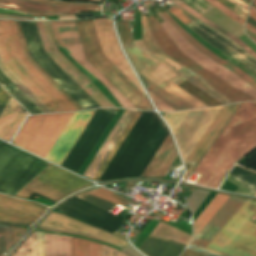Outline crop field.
<instances>
[{
    "instance_id": "crop-field-6",
    "label": "crop field",
    "mask_w": 256,
    "mask_h": 256,
    "mask_svg": "<svg viewBox=\"0 0 256 256\" xmlns=\"http://www.w3.org/2000/svg\"><path fill=\"white\" fill-rule=\"evenodd\" d=\"M222 107L165 113L179 146L183 161L195 147Z\"/></svg>"
},
{
    "instance_id": "crop-field-25",
    "label": "crop field",
    "mask_w": 256,
    "mask_h": 256,
    "mask_svg": "<svg viewBox=\"0 0 256 256\" xmlns=\"http://www.w3.org/2000/svg\"><path fill=\"white\" fill-rule=\"evenodd\" d=\"M45 256H71L70 237L44 233Z\"/></svg>"
},
{
    "instance_id": "crop-field-58",
    "label": "crop field",
    "mask_w": 256,
    "mask_h": 256,
    "mask_svg": "<svg viewBox=\"0 0 256 256\" xmlns=\"http://www.w3.org/2000/svg\"><path fill=\"white\" fill-rule=\"evenodd\" d=\"M89 1H100V0H89Z\"/></svg>"
},
{
    "instance_id": "crop-field-24",
    "label": "crop field",
    "mask_w": 256,
    "mask_h": 256,
    "mask_svg": "<svg viewBox=\"0 0 256 256\" xmlns=\"http://www.w3.org/2000/svg\"><path fill=\"white\" fill-rule=\"evenodd\" d=\"M0 1L8 4L13 3V4L20 5L19 9L61 11V12H69L70 10V7L38 4V3H33V2H28L23 0H0ZM27 10H19V11H23L33 16H53V15L69 14V13H61V12H44V11H27Z\"/></svg>"
},
{
    "instance_id": "crop-field-56",
    "label": "crop field",
    "mask_w": 256,
    "mask_h": 256,
    "mask_svg": "<svg viewBox=\"0 0 256 256\" xmlns=\"http://www.w3.org/2000/svg\"><path fill=\"white\" fill-rule=\"evenodd\" d=\"M0 4H1V5H5V6H9V7H13V8H17V9H18V7H19V6H17V5H13V4L8 5V4H4V3H1V2H0ZM2 7H4V6H2ZM6 8H8V7H6ZM11 9H12V8H11ZM15 10H16V9H15Z\"/></svg>"
},
{
    "instance_id": "crop-field-18",
    "label": "crop field",
    "mask_w": 256,
    "mask_h": 256,
    "mask_svg": "<svg viewBox=\"0 0 256 256\" xmlns=\"http://www.w3.org/2000/svg\"><path fill=\"white\" fill-rule=\"evenodd\" d=\"M11 97L0 115V138L10 140L25 118V113Z\"/></svg>"
},
{
    "instance_id": "crop-field-42",
    "label": "crop field",
    "mask_w": 256,
    "mask_h": 256,
    "mask_svg": "<svg viewBox=\"0 0 256 256\" xmlns=\"http://www.w3.org/2000/svg\"><path fill=\"white\" fill-rule=\"evenodd\" d=\"M148 91V90H147ZM149 95L155 104L158 111H174L172 108H170L168 105H166L164 102H162L160 99H158L155 95H153L151 92H149Z\"/></svg>"
},
{
    "instance_id": "crop-field-9",
    "label": "crop field",
    "mask_w": 256,
    "mask_h": 256,
    "mask_svg": "<svg viewBox=\"0 0 256 256\" xmlns=\"http://www.w3.org/2000/svg\"><path fill=\"white\" fill-rule=\"evenodd\" d=\"M135 113L136 111L134 110H125L123 115L121 114V118L119 119V121L117 122V124L115 125V127L113 128V130L111 131V133L109 134V136L107 137V139L105 140V142L103 143V145L101 146V148L99 149V151L97 152V154L95 155V157L83 173L84 176H87L92 179V177L94 176V174L96 173V171L98 170V168L100 167V165L102 164V162L104 161V159L106 158V156L108 155V153L110 152V150L112 149V147L114 146V144L116 143V141L118 140V138L120 137V135L122 134V132L124 131V129L126 128V126L128 125V123L130 122ZM140 113L141 111H137V113L135 114V116L133 117V119L131 120V122L129 123V125L127 126V128L125 129V131L123 132V134L121 135V137L119 138V140L117 141V143L115 144V146L113 147V149L111 150V152L109 153V155L97 171V173L95 174V176L93 177V180L97 181L102 171L112 158L113 154L125 138L126 134L130 130V128L132 127Z\"/></svg>"
},
{
    "instance_id": "crop-field-41",
    "label": "crop field",
    "mask_w": 256,
    "mask_h": 256,
    "mask_svg": "<svg viewBox=\"0 0 256 256\" xmlns=\"http://www.w3.org/2000/svg\"><path fill=\"white\" fill-rule=\"evenodd\" d=\"M207 2L211 3L214 5L216 8H218L220 11H222L224 14H226L228 17H230L232 20L240 24L241 26L244 25V22L242 19H240L238 16L233 14L231 11H229L227 8H225L223 5H221L219 2L216 0H206Z\"/></svg>"
},
{
    "instance_id": "crop-field-31",
    "label": "crop field",
    "mask_w": 256,
    "mask_h": 256,
    "mask_svg": "<svg viewBox=\"0 0 256 256\" xmlns=\"http://www.w3.org/2000/svg\"><path fill=\"white\" fill-rule=\"evenodd\" d=\"M174 3L177 4L178 6H180L183 10H185L190 15H192V16L196 17L197 19L203 21L204 23H206L209 26H211L212 28H214L216 31H218V32L224 34L225 36H227L228 38H230L232 41H234L239 46H241L243 49H245L247 52H249L256 59V54L245 43H243L241 40L236 38L230 32H228V31L222 29L221 27H219L218 25L214 24L213 22H211L210 20H208L204 16H202L199 13H197L196 11H194L192 8H190L186 4H184V3L178 4L176 2H174Z\"/></svg>"
},
{
    "instance_id": "crop-field-11",
    "label": "crop field",
    "mask_w": 256,
    "mask_h": 256,
    "mask_svg": "<svg viewBox=\"0 0 256 256\" xmlns=\"http://www.w3.org/2000/svg\"><path fill=\"white\" fill-rule=\"evenodd\" d=\"M45 209L29 201L0 195V224L30 226Z\"/></svg>"
},
{
    "instance_id": "crop-field-39",
    "label": "crop field",
    "mask_w": 256,
    "mask_h": 256,
    "mask_svg": "<svg viewBox=\"0 0 256 256\" xmlns=\"http://www.w3.org/2000/svg\"><path fill=\"white\" fill-rule=\"evenodd\" d=\"M172 14H174L179 20H181L186 26L196 22L197 20L188 15L185 11L179 9L178 7H173L172 9L168 10Z\"/></svg>"
},
{
    "instance_id": "crop-field-51",
    "label": "crop field",
    "mask_w": 256,
    "mask_h": 256,
    "mask_svg": "<svg viewBox=\"0 0 256 256\" xmlns=\"http://www.w3.org/2000/svg\"><path fill=\"white\" fill-rule=\"evenodd\" d=\"M231 3H233L235 6H237L238 8H240L241 10H243L245 13L248 12V8L249 6H247L246 4H244L243 2H241L240 0H228Z\"/></svg>"
},
{
    "instance_id": "crop-field-48",
    "label": "crop field",
    "mask_w": 256,
    "mask_h": 256,
    "mask_svg": "<svg viewBox=\"0 0 256 256\" xmlns=\"http://www.w3.org/2000/svg\"><path fill=\"white\" fill-rule=\"evenodd\" d=\"M11 228H12L14 243L16 244L19 241V239L22 237V235L25 233L26 229L16 228V227H11ZM18 235H20V238L17 237Z\"/></svg>"
},
{
    "instance_id": "crop-field-20",
    "label": "crop field",
    "mask_w": 256,
    "mask_h": 256,
    "mask_svg": "<svg viewBox=\"0 0 256 256\" xmlns=\"http://www.w3.org/2000/svg\"><path fill=\"white\" fill-rule=\"evenodd\" d=\"M177 29L178 31L198 50H200L202 53L207 55L209 58L214 60L215 62L225 66L230 71L235 73L237 76H239L241 79L246 81L248 84H250L252 87L256 89V82L251 79L246 73H244L241 69L233 65L232 63L228 62L225 59L219 58L217 55L209 51L207 48H205L201 43H199L196 39H194L191 35H189L185 30H183L177 23H175L165 12L162 13Z\"/></svg>"
},
{
    "instance_id": "crop-field-19",
    "label": "crop field",
    "mask_w": 256,
    "mask_h": 256,
    "mask_svg": "<svg viewBox=\"0 0 256 256\" xmlns=\"http://www.w3.org/2000/svg\"><path fill=\"white\" fill-rule=\"evenodd\" d=\"M39 31L42 43L44 45L46 53L67 73L69 74L90 96H92L96 90L78 73H76L70 66H68L60 56L52 48L49 39L47 37L44 25L42 21L35 22Z\"/></svg>"
},
{
    "instance_id": "crop-field-38",
    "label": "crop field",
    "mask_w": 256,
    "mask_h": 256,
    "mask_svg": "<svg viewBox=\"0 0 256 256\" xmlns=\"http://www.w3.org/2000/svg\"><path fill=\"white\" fill-rule=\"evenodd\" d=\"M181 75H183L185 78H187L190 82H192L194 85L200 87L201 89L205 90L206 92H208L209 94L213 95L214 97H216L218 100H220L221 102L225 103L224 101H222L220 98H218L216 95H214L212 92H210L202 83H200L196 78L199 77L198 75L186 70V69H181L179 71Z\"/></svg>"
},
{
    "instance_id": "crop-field-27",
    "label": "crop field",
    "mask_w": 256,
    "mask_h": 256,
    "mask_svg": "<svg viewBox=\"0 0 256 256\" xmlns=\"http://www.w3.org/2000/svg\"><path fill=\"white\" fill-rule=\"evenodd\" d=\"M185 78H183L181 75L158 86L162 90L170 93L171 95L175 96L182 102L186 103L192 108L196 107H205L206 105L191 96L189 93L178 87L177 85L184 82Z\"/></svg>"
},
{
    "instance_id": "crop-field-55",
    "label": "crop field",
    "mask_w": 256,
    "mask_h": 256,
    "mask_svg": "<svg viewBox=\"0 0 256 256\" xmlns=\"http://www.w3.org/2000/svg\"><path fill=\"white\" fill-rule=\"evenodd\" d=\"M249 16H251L253 19L256 20V12L254 10H252V9L250 10Z\"/></svg>"
},
{
    "instance_id": "crop-field-8",
    "label": "crop field",
    "mask_w": 256,
    "mask_h": 256,
    "mask_svg": "<svg viewBox=\"0 0 256 256\" xmlns=\"http://www.w3.org/2000/svg\"><path fill=\"white\" fill-rule=\"evenodd\" d=\"M152 31L154 36L161 46V48L167 53V55L172 58L174 61L184 65L185 67L193 70L194 72L200 74L212 87H214L218 92L227 98L235 101H256L255 99L243 94L242 92L236 90L235 88L226 84L223 80H221L216 75L202 68L191 59L186 57L183 53H181L176 45L169 39L165 31L159 25L155 17L151 18ZM183 66V67H184ZM192 71V72H193Z\"/></svg>"
},
{
    "instance_id": "crop-field-2",
    "label": "crop field",
    "mask_w": 256,
    "mask_h": 256,
    "mask_svg": "<svg viewBox=\"0 0 256 256\" xmlns=\"http://www.w3.org/2000/svg\"><path fill=\"white\" fill-rule=\"evenodd\" d=\"M95 111L29 116L13 144L45 158L73 115L46 156L60 165Z\"/></svg>"
},
{
    "instance_id": "crop-field-43",
    "label": "crop field",
    "mask_w": 256,
    "mask_h": 256,
    "mask_svg": "<svg viewBox=\"0 0 256 256\" xmlns=\"http://www.w3.org/2000/svg\"><path fill=\"white\" fill-rule=\"evenodd\" d=\"M218 1L222 3L225 7H227L229 10H231L233 13L241 17L243 20H246L247 14H245L243 11L235 7L233 4H231L227 0H218Z\"/></svg>"
},
{
    "instance_id": "crop-field-4",
    "label": "crop field",
    "mask_w": 256,
    "mask_h": 256,
    "mask_svg": "<svg viewBox=\"0 0 256 256\" xmlns=\"http://www.w3.org/2000/svg\"><path fill=\"white\" fill-rule=\"evenodd\" d=\"M256 202L247 200L205 251L216 255L256 256V224L248 221Z\"/></svg>"
},
{
    "instance_id": "crop-field-22",
    "label": "crop field",
    "mask_w": 256,
    "mask_h": 256,
    "mask_svg": "<svg viewBox=\"0 0 256 256\" xmlns=\"http://www.w3.org/2000/svg\"><path fill=\"white\" fill-rule=\"evenodd\" d=\"M141 19V26H142V42L147 49L149 55L154 56L156 58L162 59L168 64H170L172 67H174L176 70H179L183 67L175 63L173 60H171L160 48V46L157 44L151 30L149 27V23L147 19L144 16H140Z\"/></svg>"
},
{
    "instance_id": "crop-field-29",
    "label": "crop field",
    "mask_w": 256,
    "mask_h": 256,
    "mask_svg": "<svg viewBox=\"0 0 256 256\" xmlns=\"http://www.w3.org/2000/svg\"><path fill=\"white\" fill-rule=\"evenodd\" d=\"M124 50L126 51L135 71H138L140 69L155 65L161 60L147 56L137 50L134 46H126L122 45Z\"/></svg>"
},
{
    "instance_id": "crop-field-30",
    "label": "crop field",
    "mask_w": 256,
    "mask_h": 256,
    "mask_svg": "<svg viewBox=\"0 0 256 256\" xmlns=\"http://www.w3.org/2000/svg\"><path fill=\"white\" fill-rule=\"evenodd\" d=\"M72 256H100V244L71 237Z\"/></svg>"
},
{
    "instance_id": "crop-field-34",
    "label": "crop field",
    "mask_w": 256,
    "mask_h": 256,
    "mask_svg": "<svg viewBox=\"0 0 256 256\" xmlns=\"http://www.w3.org/2000/svg\"><path fill=\"white\" fill-rule=\"evenodd\" d=\"M15 22V25H16V28H17V31H18V34H19V37L21 39V42H22V45H23V48H24V51H25V54H26V57L27 59L52 83L54 84L79 110H82L83 108L72 98L70 97L45 71H43L29 56V53H28V50H27V47H26V44H25V41H24V38H23V35H22V32H21V29H20V26H19V23L14 21Z\"/></svg>"
},
{
    "instance_id": "crop-field-44",
    "label": "crop field",
    "mask_w": 256,
    "mask_h": 256,
    "mask_svg": "<svg viewBox=\"0 0 256 256\" xmlns=\"http://www.w3.org/2000/svg\"><path fill=\"white\" fill-rule=\"evenodd\" d=\"M101 256H127L117 250L101 245Z\"/></svg>"
},
{
    "instance_id": "crop-field-52",
    "label": "crop field",
    "mask_w": 256,
    "mask_h": 256,
    "mask_svg": "<svg viewBox=\"0 0 256 256\" xmlns=\"http://www.w3.org/2000/svg\"><path fill=\"white\" fill-rule=\"evenodd\" d=\"M181 256H206V255H203L201 253H198L189 249H185L184 252L181 254Z\"/></svg>"
},
{
    "instance_id": "crop-field-5",
    "label": "crop field",
    "mask_w": 256,
    "mask_h": 256,
    "mask_svg": "<svg viewBox=\"0 0 256 256\" xmlns=\"http://www.w3.org/2000/svg\"><path fill=\"white\" fill-rule=\"evenodd\" d=\"M76 23L88 60L138 109L153 110L148 98L103 55L92 20Z\"/></svg>"
},
{
    "instance_id": "crop-field-15",
    "label": "crop field",
    "mask_w": 256,
    "mask_h": 256,
    "mask_svg": "<svg viewBox=\"0 0 256 256\" xmlns=\"http://www.w3.org/2000/svg\"><path fill=\"white\" fill-rule=\"evenodd\" d=\"M239 105L240 103L224 106V108L221 110L219 115L213 121V123L208 128L206 133L203 135L201 140L198 142L196 147L193 149V151L190 153L188 158L185 160L186 163H190L192 165L183 179L186 180V178L189 176L191 171L194 169L196 164L202 158L204 153L207 151L209 146L212 144L214 139L217 137L219 132L222 130L224 125L227 123V121L230 119V117L232 116V114L235 112V110Z\"/></svg>"
},
{
    "instance_id": "crop-field-54",
    "label": "crop field",
    "mask_w": 256,
    "mask_h": 256,
    "mask_svg": "<svg viewBox=\"0 0 256 256\" xmlns=\"http://www.w3.org/2000/svg\"><path fill=\"white\" fill-rule=\"evenodd\" d=\"M246 29H248L250 32H252L253 34L256 35V29H254L253 27H251L249 24L246 25Z\"/></svg>"
},
{
    "instance_id": "crop-field-17",
    "label": "crop field",
    "mask_w": 256,
    "mask_h": 256,
    "mask_svg": "<svg viewBox=\"0 0 256 256\" xmlns=\"http://www.w3.org/2000/svg\"><path fill=\"white\" fill-rule=\"evenodd\" d=\"M176 156V151L168 134L141 177H163Z\"/></svg>"
},
{
    "instance_id": "crop-field-59",
    "label": "crop field",
    "mask_w": 256,
    "mask_h": 256,
    "mask_svg": "<svg viewBox=\"0 0 256 256\" xmlns=\"http://www.w3.org/2000/svg\"><path fill=\"white\" fill-rule=\"evenodd\" d=\"M224 182H225V180H224ZM224 182L222 183V185L224 184ZM222 185H221V186H222ZM221 186H220V188H221ZM220 188H219V189H220Z\"/></svg>"
},
{
    "instance_id": "crop-field-12",
    "label": "crop field",
    "mask_w": 256,
    "mask_h": 256,
    "mask_svg": "<svg viewBox=\"0 0 256 256\" xmlns=\"http://www.w3.org/2000/svg\"><path fill=\"white\" fill-rule=\"evenodd\" d=\"M93 21L104 55L144 93L120 51L111 19L100 18Z\"/></svg>"
},
{
    "instance_id": "crop-field-47",
    "label": "crop field",
    "mask_w": 256,
    "mask_h": 256,
    "mask_svg": "<svg viewBox=\"0 0 256 256\" xmlns=\"http://www.w3.org/2000/svg\"><path fill=\"white\" fill-rule=\"evenodd\" d=\"M38 256H44L43 233L37 231Z\"/></svg>"
},
{
    "instance_id": "crop-field-40",
    "label": "crop field",
    "mask_w": 256,
    "mask_h": 256,
    "mask_svg": "<svg viewBox=\"0 0 256 256\" xmlns=\"http://www.w3.org/2000/svg\"><path fill=\"white\" fill-rule=\"evenodd\" d=\"M83 200L89 202V203H92L106 211H110L112 208H114L116 205L112 204V203H109L105 200H102L100 198H97V197H93V196H89V195H86Z\"/></svg>"
},
{
    "instance_id": "crop-field-1",
    "label": "crop field",
    "mask_w": 256,
    "mask_h": 256,
    "mask_svg": "<svg viewBox=\"0 0 256 256\" xmlns=\"http://www.w3.org/2000/svg\"><path fill=\"white\" fill-rule=\"evenodd\" d=\"M255 122L256 103H242L197 168L194 170L195 173L202 174L197 181V184L210 187ZM254 148H256V123L211 187L217 188L220 180L231 169L234 162Z\"/></svg>"
},
{
    "instance_id": "crop-field-57",
    "label": "crop field",
    "mask_w": 256,
    "mask_h": 256,
    "mask_svg": "<svg viewBox=\"0 0 256 256\" xmlns=\"http://www.w3.org/2000/svg\"><path fill=\"white\" fill-rule=\"evenodd\" d=\"M252 3L256 5V0H253ZM248 35V34H247ZM251 39H253L256 42V39H254L252 36L248 35Z\"/></svg>"
},
{
    "instance_id": "crop-field-7",
    "label": "crop field",
    "mask_w": 256,
    "mask_h": 256,
    "mask_svg": "<svg viewBox=\"0 0 256 256\" xmlns=\"http://www.w3.org/2000/svg\"><path fill=\"white\" fill-rule=\"evenodd\" d=\"M51 167H52V165L49 164L33 180H31L16 196L29 198V196L32 193H37V194H40V195H43V196L49 198L50 200H52L53 202L56 203L59 200H61L62 198L66 197L78 190H81L83 188L93 185V184H89L88 182H86L68 172H65L55 166H53L52 168ZM48 169H50V170H48ZM39 177H41V178H39ZM36 180H37V182H39L45 186H48V187H50L58 192H61L63 194L70 190H73L79 186H82L85 184H89V185L79 187L65 195H62L50 188H47V187L35 182Z\"/></svg>"
},
{
    "instance_id": "crop-field-50",
    "label": "crop field",
    "mask_w": 256,
    "mask_h": 256,
    "mask_svg": "<svg viewBox=\"0 0 256 256\" xmlns=\"http://www.w3.org/2000/svg\"><path fill=\"white\" fill-rule=\"evenodd\" d=\"M209 90H211L213 93H215L217 96H219L221 99H223L226 103H231L232 101L228 100L221 94H219L216 90H214L208 83H206L201 77L198 78Z\"/></svg>"
},
{
    "instance_id": "crop-field-35",
    "label": "crop field",
    "mask_w": 256,
    "mask_h": 256,
    "mask_svg": "<svg viewBox=\"0 0 256 256\" xmlns=\"http://www.w3.org/2000/svg\"><path fill=\"white\" fill-rule=\"evenodd\" d=\"M12 256H37L36 230L32 235L12 254Z\"/></svg>"
},
{
    "instance_id": "crop-field-21",
    "label": "crop field",
    "mask_w": 256,
    "mask_h": 256,
    "mask_svg": "<svg viewBox=\"0 0 256 256\" xmlns=\"http://www.w3.org/2000/svg\"><path fill=\"white\" fill-rule=\"evenodd\" d=\"M182 249L178 244L148 236L138 250L146 256H177Z\"/></svg>"
},
{
    "instance_id": "crop-field-10",
    "label": "crop field",
    "mask_w": 256,
    "mask_h": 256,
    "mask_svg": "<svg viewBox=\"0 0 256 256\" xmlns=\"http://www.w3.org/2000/svg\"><path fill=\"white\" fill-rule=\"evenodd\" d=\"M158 15L167 22L168 20L164 18L160 12H158ZM162 22V23H165ZM161 23V24H162ZM163 27L166 29L172 40L175 42L176 45H179V48L186 53L189 57H191L194 61H196L198 64L208 68L216 75L222 77L227 82H229L232 85H235L239 87L241 90L245 91L249 95L256 98V91L252 89L250 86H248L245 82H243L240 78L235 76L233 73H231L226 68L212 62L207 57L202 55L200 52H198L190 43H188L177 31L176 29L169 23L163 24Z\"/></svg>"
},
{
    "instance_id": "crop-field-3",
    "label": "crop field",
    "mask_w": 256,
    "mask_h": 256,
    "mask_svg": "<svg viewBox=\"0 0 256 256\" xmlns=\"http://www.w3.org/2000/svg\"><path fill=\"white\" fill-rule=\"evenodd\" d=\"M0 55L4 65L52 112L78 110L26 59L13 21H0Z\"/></svg>"
},
{
    "instance_id": "crop-field-14",
    "label": "crop field",
    "mask_w": 256,
    "mask_h": 256,
    "mask_svg": "<svg viewBox=\"0 0 256 256\" xmlns=\"http://www.w3.org/2000/svg\"><path fill=\"white\" fill-rule=\"evenodd\" d=\"M245 201L231 196L190 245L204 250Z\"/></svg>"
},
{
    "instance_id": "crop-field-23",
    "label": "crop field",
    "mask_w": 256,
    "mask_h": 256,
    "mask_svg": "<svg viewBox=\"0 0 256 256\" xmlns=\"http://www.w3.org/2000/svg\"><path fill=\"white\" fill-rule=\"evenodd\" d=\"M49 23L60 48L81 43L74 22Z\"/></svg>"
},
{
    "instance_id": "crop-field-49",
    "label": "crop field",
    "mask_w": 256,
    "mask_h": 256,
    "mask_svg": "<svg viewBox=\"0 0 256 256\" xmlns=\"http://www.w3.org/2000/svg\"><path fill=\"white\" fill-rule=\"evenodd\" d=\"M6 249H5V242H4V236H3V229L2 226H0V256H5Z\"/></svg>"
},
{
    "instance_id": "crop-field-33",
    "label": "crop field",
    "mask_w": 256,
    "mask_h": 256,
    "mask_svg": "<svg viewBox=\"0 0 256 256\" xmlns=\"http://www.w3.org/2000/svg\"><path fill=\"white\" fill-rule=\"evenodd\" d=\"M0 70L43 112L50 113L51 111L34 95L32 94L2 63L0 57Z\"/></svg>"
},
{
    "instance_id": "crop-field-26",
    "label": "crop field",
    "mask_w": 256,
    "mask_h": 256,
    "mask_svg": "<svg viewBox=\"0 0 256 256\" xmlns=\"http://www.w3.org/2000/svg\"><path fill=\"white\" fill-rule=\"evenodd\" d=\"M230 196L217 194L214 199L206 206V208L193 221L194 237L204 228L209 220L221 208Z\"/></svg>"
},
{
    "instance_id": "crop-field-60",
    "label": "crop field",
    "mask_w": 256,
    "mask_h": 256,
    "mask_svg": "<svg viewBox=\"0 0 256 256\" xmlns=\"http://www.w3.org/2000/svg\"><path fill=\"white\" fill-rule=\"evenodd\" d=\"M252 9H254L256 11V9L254 7H251Z\"/></svg>"
},
{
    "instance_id": "crop-field-53",
    "label": "crop field",
    "mask_w": 256,
    "mask_h": 256,
    "mask_svg": "<svg viewBox=\"0 0 256 256\" xmlns=\"http://www.w3.org/2000/svg\"><path fill=\"white\" fill-rule=\"evenodd\" d=\"M0 12L26 15L19 11L9 10V9H4V8H0Z\"/></svg>"
},
{
    "instance_id": "crop-field-13",
    "label": "crop field",
    "mask_w": 256,
    "mask_h": 256,
    "mask_svg": "<svg viewBox=\"0 0 256 256\" xmlns=\"http://www.w3.org/2000/svg\"><path fill=\"white\" fill-rule=\"evenodd\" d=\"M53 212H55V211H53ZM53 212L51 214H49L44 219V221L41 223L40 227L47 228V229H52V230L71 232V233H76V234H80V235H85V236L97 238V239L103 240L105 242L116 244V245H118L120 247H123V248L128 244L127 242H125V241H123V240H121V239H119V238H117V237H115L113 235H112L113 237L110 236L111 234L108 235L109 233L106 234L107 232L106 233H103L104 231L100 232V231H98L99 229L95 230L96 228L95 229H93L94 227L91 228L92 226L88 227L89 225L86 226L87 224L83 225L84 223L81 224L82 222L79 223L80 221L76 222L77 220L73 221L74 219L71 220L72 218L68 219L69 217L65 218L66 216L63 217L64 215L60 216L62 214L57 215L59 213L55 212V213H57V214H55ZM71 233H68V234H71ZM76 234H72V235H76ZM80 235H76V236H80ZM85 236H80V237H84V238L100 241V240L89 238V237H85ZM100 242H102V241H100ZM110 245H112V244H110ZM116 245H112V246L118 247ZM120 247H118V248H120ZM120 249H122V248H120Z\"/></svg>"
},
{
    "instance_id": "crop-field-36",
    "label": "crop field",
    "mask_w": 256,
    "mask_h": 256,
    "mask_svg": "<svg viewBox=\"0 0 256 256\" xmlns=\"http://www.w3.org/2000/svg\"><path fill=\"white\" fill-rule=\"evenodd\" d=\"M87 193L92 194V195L97 196V197H100V198H103L105 200L117 203V204L122 205V206H124L127 203V201H125L124 199L110 193L108 190H104V189H101V188L91 190V191L83 193V194H81L77 197L82 199Z\"/></svg>"
},
{
    "instance_id": "crop-field-61",
    "label": "crop field",
    "mask_w": 256,
    "mask_h": 256,
    "mask_svg": "<svg viewBox=\"0 0 256 256\" xmlns=\"http://www.w3.org/2000/svg\"><path fill=\"white\" fill-rule=\"evenodd\" d=\"M239 166V165H238ZM241 167V166H240ZM246 169V168H245ZM248 170V169H247ZM251 171V170H250ZM252 172H254V171H252ZM254 173H256V172H254Z\"/></svg>"
},
{
    "instance_id": "crop-field-32",
    "label": "crop field",
    "mask_w": 256,
    "mask_h": 256,
    "mask_svg": "<svg viewBox=\"0 0 256 256\" xmlns=\"http://www.w3.org/2000/svg\"><path fill=\"white\" fill-rule=\"evenodd\" d=\"M140 77L142 78V80L148 90H150L153 94H155L157 97H159L161 100H163L165 103H167L169 106H171L176 111L190 109L189 106L185 105L184 103H182L178 99L174 98L170 94L162 91L157 86H155L153 83H151L150 81L145 79L143 76L140 75Z\"/></svg>"
},
{
    "instance_id": "crop-field-46",
    "label": "crop field",
    "mask_w": 256,
    "mask_h": 256,
    "mask_svg": "<svg viewBox=\"0 0 256 256\" xmlns=\"http://www.w3.org/2000/svg\"><path fill=\"white\" fill-rule=\"evenodd\" d=\"M6 239L7 251L13 245L10 226H3Z\"/></svg>"
},
{
    "instance_id": "crop-field-45",
    "label": "crop field",
    "mask_w": 256,
    "mask_h": 256,
    "mask_svg": "<svg viewBox=\"0 0 256 256\" xmlns=\"http://www.w3.org/2000/svg\"><path fill=\"white\" fill-rule=\"evenodd\" d=\"M10 95L0 86V113L10 99Z\"/></svg>"
},
{
    "instance_id": "crop-field-28",
    "label": "crop field",
    "mask_w": 256,
    "mask_h": 256,
    "mask_svg": "<svg viewBox=\"0 0 256 256\" xmlns=\"http://www.w3.org/2000/svg\"><path fill=\"white\" fill-rule=\"evenodd\" d=\"M140 72L157 86L179 75L168 64L162 62L158 65L143 69Z\"/></svg>"
},
{
    "instance_id": "crop-field-16",
    "label": "crop field",
    "mask_w": 256,
    "mask_h": 256,
    "mask_svg": "<svg viewBox=\"0 0 256 256\" xmlns=\"http://www.w3.org/2000/svg\"><path fill=\"white\" fill-rule=\"evenodd\" d=\"M67 49L72 53L71 56L86 70H88L92 75H94L100 82H102L110 92L116 97L122 107L136 109L121 93H119L85 58L82 45H75L67 47ZM64 48L69 54L70 52ZM78 63L74 64L85 76H87L91 81L96 80L88 71H86Z\"/></svg>"
},
{
    "instance_id": "crop-field-37",
    "label": "crop field",
    "mask_w": 256,
    "mask_h": 256,
    "mask_svg": "<svg viewBox=\"0 0 256 256\" xmlns=\"http://www.w3.org/2000/svg\"><path fill=\"white\" fill-rule=\"evenodd\" d=\"M28 1L45 3V4L64 5V6L71 5V3H67V2H56V1H47V0H28ZM71 9L100 10V7L94 6V5L73 4ZM82 11H85V10H71L70 14H74Z\"/></svg>"
}]
</instances>
